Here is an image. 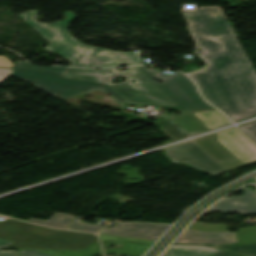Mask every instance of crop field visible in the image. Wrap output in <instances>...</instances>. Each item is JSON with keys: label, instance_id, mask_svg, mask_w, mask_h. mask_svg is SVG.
Here are the masks:
<instances>
[{"label": "crop field", "instance_id": "30", "mask_svg": "<svg viewBox=\"0 0 256 256\" xmlns=\"http://www.w3.org/2000/svg\"><path fill=\"white\" fill-rule=\"evenodd\" d=\"M20 253L16 252L15 250L10 251H2L0 250V256H18Z\"/></svg>", "mask_w": 256, "mask_h": 256}, {"label": "crop field", "instance_id": "16", "mask_svg": "<svg viewBox=\"0 0 256 256\" xmlns=\"http://www.w3.org/2000/svg\"><path fill=\"white\" fill-rule=\"evenodd\" d=\"M197 116L205 125L210 129L219 127L225 124L231 123L221 112L218 110L205 111V112H196L193 113ZM206 126V127H207ZM207 127V128H208Z\"/></svg>", "mask_w": 256, "mask_h": 256}, {"label": "crop field", "instance_id": "13", "mask_svg": "<svg viewBox=\"0 0 256 256\" xmlns=\"http://www.w3.org/2000/svg\"><path fill=\"white\" fill-rule=\"evenodd\" d=\"M161 256H237L205 246L172 245Z\"/></svg>", "mask_w": 256, "mask_h": 256}, {"label": "crop field", "instance_id": "6", "mask_svg": "<svg viewBox=\"0 0 256 256\" xmlns=\"http://www.w3.org/2000/svg\"><path fill=\"white\" fill-rule=\"evenodd\" d=\"M138 68L185 111L214 108L201 98L195 85L182 73L159 75L160 72L149 71L145 66ZM153 78L161 79L164 83L160 84L154 81Z\"/></svg>", "mask_w": 256, "mask_h": 256}, {"label": "crop field", "instance_id": "23", "mask_svg": "<svg viewBox=\"0 0 256 256\" xmlns=\"http://www.w3.org/2000/svg\"><path fill=\"white\" fill-rule=\"evenodd\" d=\"M15 66L36 69V70H41V71H47V72H53V73H59V74H62L67 69L66 67H55V66L39 67V66L33 65L31 63L25 62V61H20V62L16 63Z\"/></svg>", "mask_w": 256, "mask_h": 256}, {"label": "crop field", "instance_id": "14", "mask_svg": "<svg viewBox=\"0 0 256 256\" xmlns=\"http://www.w3.org/2000/svg\"><path fill=\"white\" fill-rule=\"evenodd\" d=\"M169 117H171L169 120L188 136L208 130L191 113H181Z\"/></svg>", "mask_w": 256, "mask_h": 256}, {"label": "crop field", "instance_id": "31", "mask_svg": "<svg viewBox=\"0 0 256 256\" xmlns=\"http://www.w3.org/2000/svg\"><path fill=\"white\" fill-rule=\"evenodd\" d=\"M10 244H12V242L7 241V240L0 239V248H1V247H4V246H8V245H10Z\"/></svg>", "mask_w": 256, "mask_h": 256}, {"label": "crop field", "instance_id": "22", "mask_svg": "<svg viewBox=\"0 0 256 256\" xmlns=\"http://www.w3.org/2000/svg\"><path fill=\"white\" fill-rule=\"evenodd\" d=\"M104 227L105 226H102V225H90V224L73 222L66 229L78 230V231L89 232V233H99Z\"/></svg>", "mask_w": 256, "mask_h": 256}, {"label": "crop field", "instance_id": "2", "mask_svg": "<svg viewBox=\"0 0 256 256\" xmlns=\"http://www.w3.org/2000/svg\"><path fill=\"white\" fill-rule=\"evenodd\" d=\"M39 12L30 11L18 15L37 33L50 42L45 49L55 51L66 57L73 63L71 66L77 67H112L125 64L135 66L141 64L139 53L115 52L106 49L93 48L83 45L73 39L68 33L67 28L76 17L70 11L65 13L69 18L58 23L45 24L35 21Z\"/></svg>", "mask_w": 256, "mask_h": 256}, {"label": "crop field", "instance_id": "15", "mask_svg": "<svg viewBox=\"0 0 256 256\" xmlns=\"http://www.w3.org/2000/svg\"><path fill=\"white\" fill-rule=\"evenodd\" d=\"M76 219L78 218L67 213H57L53 215L48 221L31 219L28 222L36 223L51 228L65 229L69 224H71Z\"/></svg>", "mask_w": 256, "mask_h": 256}, {"label": "crop field", "instance_id": "20", "mask_svg": "<svg viewBox=\"0 0 256 256\" xmlns=\"http://www.w3.org/2000/svg\"><path fill=\"white\" fill-rule=\"evenodd\" d=\"M238 244L256 243V227L239 228L237 232Z\"/></svg>", "mask_w": 256, "mask_h": 256}, {"label": "crop field", "instance_id": "18", "mask_svg": "<svg viewBox=\"0 0 256 256\" xmlns=\"http://www.w3.org/2000/svg\"><path fill=\"white\" fill-rule=\"evenodd\" d=\"M51 256H85L87 254H102L99 244L89 247L87 251H38Z\"/></svg>", "mask_w": 256, "mask_h": 256}, {"label": "crop field", "instance_id": "9", "mask_svg": "<svg viewBox=\"0 0 256 256\" xmlns=\"http://www.w3.org/2000/svg\"><path fill=\"white\" fill-rule=\"evenodd\" d=\"M171 225L168 224H154V223H117L114 228H108L104 234L143 238L157 240Z\"/></svg>", "mask_w": 256, "mask_h": 256}, {"label": "crop field", "instance_id": "26", "mask_svg": "<svg viewBox=\"0 0 256 256\" xmlns=\"http://www.w3.org/2000/svg\"><path fill=\"white\" fill-rule=\"evenodd\" d=\"M13 69H0V83H3L12 73Z\"/></svg>", "mask_w": 256, "mask_h": 256}, {"label": "crop field", "instance_id": "5", "mask_svg": "<svg viewBox=\"0 0 256 256\" xmlns=\"http://www.w3.org/2000/svg\"><path fill=\"white\" fill-rule=\"evenodd\" d=\"M13 77L32 83L38 86L42 91L52 95L60 100L88 92L92 89H101L111 94L119 103H124L109 87L106 85L83 82L78 80L61 78L59 75L15 68Z\"/></svg>", "mask_w": 256, "mask_h": 256}, {"label": "crop field", "instance_id": "10", "mask_svg": "<svg viewBox=\"0 0 256 256\" xmlns=\"http://www.w3.org/2000/svg\"><path fill=\"white\" fill-rule=\"evenodd\" d=\"M239 190L244 192L243 196L225 197L204 213L220 211L222 213L237 212L241 215L256 214V193L244 187Z\"/></svg>", "mask_w": 256, "mask_h": 256}, {"label": "crop field", "instance_id": "27", "mask_svg": "<svg viewBox=\"0 0 256 256\" xmlns=\"http://www.w3.org/2000/svg\"><path fill=\"white\" fill-rule=\"evenodd\" d=\"M0 67L2 68L14 67V64L5 56H0Z\"/></svg>", "mask_w": 256, "mask_h": 256}, {"label": "crop field", "instance_id": "7", "mask_svg": "<svg viewBox=\"0 0 256 256\" xmlns=\"http://www.w3.org/2000/svg\"><path fill=\"white\" fill-rule=\"evenodd\" d=\"M166 150V155L171 157L170 160L174 163L184 162L213 175L225 172L193 141Z\"/></svg>", "mask_w": 256, "mask_h": 256}, {"label": "crop field", "instance_id": "25", "mask_svg": "<svg viewBox=\"0 0 256 256\" xmlns=\"http://www.w3.org/2000/svg\"><path fill=\"white\" fill-rule=\"evenodd\" d=\"M255 141H256V121L250 124L241 126Z\"/></svg>", "mask_w": 256, "mask_h": 256}, {"label": "crop field", "instance_id": "32", "mask_svg": "<svg viewBox=\"0 0 256 256\" xmlns=\"http://www.w3.org/2000/svg\"><path fill=\"white\" fill-rule=\"evenodd\" d=\"M256 178V177H255Z\"/></svg>", "mask_w": 256, "mask_h": 256}, {"label": "crop field", "instance_id": "4", "mask_svg": "<svg viewBox=\"0 0 256 256\" xmlns=\"http://www.w3.org/2000/svg\"><path fill=\"white\" fill-rule=\"evenodd\" d=\"M0 238L21 249H85L98 241L96 235L50 230L15 220L0 223Z\"/></svg>", "mask_w": 256, "mask_h": 256}, {"label": "crop field", "instance_id": "17", "mask_svg": "<svg viewBox=\"0 0 256 256\" xmlns=\"http://www.w3.org/2000/svg\"><path fill=\"white\" fill-rule=\"evenodd\" d=\"M152 245L125 242L121 250H104L105 254L119 253L128 256H142Z\"/></svg>", "mask_w": 256, "mask_h": 256}, {"label": "crop field", "instance_id": "28", "mask_svg": "<svg viewBox=\"0 0 256 256\" xmlns=\"http://www.w3.org/2000/svg\"><path fill=\"white\" fill-rule=\"evenodd\" d=\"M101 240H107V239H122V240H130V241H139V242H149V243H154L151 241H143V240H135V239H127V238H119V237H111V236H103V235H99Z\"/></svg>", "mask_w": 256, "mask_h": 256}, {"label": "crop field", "instance_id": "24", "mask_svg": "<svg viewBox=\"0 0 256 256\" xmlns=\"http://www.w3.org/2000/svg\"><path fill=\"white\" fill-rule=\"evenodd\" d=\"M189 229L201 230V231H222V232L228 231L223 224L211 225V224H205V223H199V222H195L193 225L189 227Z\"/></svg>", "mask_w": 256, "mask_h": 256}, {"label": "crop field", "instance_id": "12", "mask_svg": "<svg viewBox=\"0 0 256 256\" xmlns=\"http://www.w3.org/2000/svg\"><path fill=\"white\" fill-rule=\"evenodd\" d=\"M174 243L237 244L235 232H201L186 230Z\"/></svg>", "mask_w": 256, "mask_h": 256}, {"label": "crop field", "instance_id": "8", "mask_svg": "<svg viewBox=\"0 0 256 256\" xmlns=\"http://www.w3.org/2000/svg\"><path fill=\"white\" fill-rule=\"evenodd\" d=\"M217 140L244 165L256 162V145L238 128L216 133Z\"/></svg>", "mask_w": 256, "mask_h": 256}, {"label": "crop field", "instance_id": "11", "mask_svg": "<svg viewBox=\"0 0 256 256\" xmlns=\"http://www.w3.org/2000/svg\"><path fill=\"white\" fill-rule=\"evenodd\" d=\"M216 136H208L194 142L202 148L225 171L242 166V164L229 153L221 144L214 140Z\"/></svg>", "mask_w": 256, "mask_h": 256}, {"label": "crop field", "instance_id": "3", "mask_svg": "<svg viewBox=\"0 0 256 256\" xmlns=\"http://www.w3.org/2000/svg\"><path fill=\"white\" fill-rule=\"evenodd\" d=\"M62 75L70 78L108 84L127 103L177 106L175 102L163 93L137 67L127 68L125 72H121L117 69L91 70L68 68ZM119 75L128 78L127 81L120 84H111L112 78ZM130 79H134L136 83H132Z\"/></svg>", "mask_w": 256, "mask_h": 256}, {"label": "crop field", "instance_id": "29", "mask_svg": "<svg viewBox=\"0 0 256 256\" xmlns=\"http://www.w3.org/2000/svg\"><path fill=\"white\" fill-rule=\"evenodd\" d=\"M23 254L21 256H48L45 254L38 253L36 251H21Z\"/></svg>", "mask_w": 256, "mask_h": 256}, {"label": "crop field", "instance_id": "1", "mask_svg": "<svg viewBox=\"0 0 256 256\" xmlns=\"http://www.w3.org/2000/svg\"><path fill=\"white\" fill-rule=\"evenodd\" d=\"M209 65L189 75L233 121L256 115V71L220 8L185 13ZM202 25V28L199 27ZM212 70V72H209Z\"/></svg>", "mask_w": 256, "mask_h": 256}, {"label": "crop field", "instance_id": "19", "mask_svg": "<svg viewBox=\"0 0 256 256\" xmlns=\"http://www.w3.org/2000/svg\"><path fill=\"white\" fill-rule=\"evenodd\" d=\"M166 135L175 140L185 137L176 127H174L167 119L154 122Z\"/></svg>", "mask_w": 256, "mask_h": 256}, {"label": "crop field", "instance_id": "21", "mask_svg": "<svg viewBox=\"0 0 256 256\" xmlns=\"http://www.w3.org/2000/svg\"><path fill=\"white\" fill-rule=\"evenodd\" d=\"M245 256H256V245L249 246H214Z\"/></svg>", "mask_w": 256, "mask_h": 256}]
</instances>
